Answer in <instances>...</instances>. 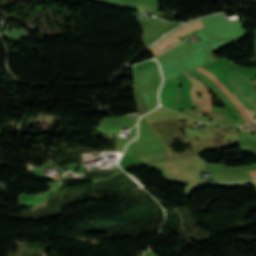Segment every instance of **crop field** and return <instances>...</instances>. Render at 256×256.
Instances as JSON below:
<instances>
[{
    "mask_svg": "<svg viewBox=\"0 0 256 256\" xmlns=\"http://www.w3.org/2000/svg\"><path fill=\"white\" fill-rule=\"evenodd\" d=\"M199 28H203V25L200 22V20L193 22L191 24H188L186 26L180 27L176 32L172 33L167 38H165L164 40H162L161 42H159L158 44H156L154 47L150 49L153 50L157 55L162 51L166 50L167 48H169L170 46L180 42L177 40L178 38L182 37L183 35H185L186 33L192 30H196Z\"/></svg>",
    "mask_w": 256,
    "mask_h": 256,
    "instance_id": "2",
    "label": "crop field"
},
{
    "mask_svg": "<svg viewBox=\"0 0 256 256\" xmlns=\"http://www.w3.org/2000/svg\"><path fill=\"white\" fill-rule=\"evenodd\" d=\"M198 71H200L201 73L205 74L207 77H209L212 82L218 87L220 88L224 93L230 91L219 79L217 76H215L212 72H210L207 68H205L204 66L196 69ZM226 95L228 96V98L233 102V104L239 109V111L244 115L245 118V122L249 123V122H253L252 117L255 115V112L252 111L251 109H249L248 107H246L244 104H242L234 90L226 93Z\"/></svg>",
    "mask_w": 256,
    "mask_h": 256,
    "instance_id": "1",
    "label": "crop field"
},
{
    "mask_svg": "<svg viewBox=\"0 0 256 256\" xmlns=\"http://www.w3.org/2000/svg\"><path fill=\"white\" fill-rule=\"evenodd\" d=\"M132 116H138V115H132ZM132 116H128V117H132ZM134 118V117H133Z\"/></svg>",
    "mask_w": 256,
    "mask_h": 256,
    "instance_id": "6",
    "label": "crop field"
},
{
    "mask_svg": "<svg viewBox=\"0 0 256 256\" xmlns=\"http://www.w3.org/2000/svg\"><path fill=\"white\" fill-rule=\"evenodd\" d=\"M254 184H256V182H254Z\"/></svg>",
    "mask_w": 256,
    "mask_h": 256,
    "instance_id": "7",
    "label": "crop field"
},
{
    "mask_svg": "<svg viewBox=\"0 0 256 256\" xmlns=\"http://www.w3.org/2000/svg\"><path fill=\"white\" fill-rule=\"evenodd\" d=\"M253 180H256V176H251Z\"/></svg>",
    "mask_w": 256,
    "mask_h": 256,
    "instance_id": "5",
    "label": "crop field"
},
{
    "mask_svg": "<svg viewBox=\"0 0 256 256\" xmlns=\"http://www.w3.org/2000/svg\"><path fill=\"white\" fill-rule=\"evenodd\" d=\"M229 80H230L232 86L234 87L238 98L240 100H242L244 104H246L247 106H249L253 110H256V102L252 98L242 95L240 89L234 84V82L230 78H229Z\"/></svg>",
    "mask_w": 256,
    "mask_h": 256,
    "instance_id": "4",
    "label": "crop field"
},
{
    "mask_svg": "<svg viewBox=\"0 0 256 256\" xmlns=\"http://www.w3.org/2000/svg\"><path fill=\"white\" fill-rule=\"evenodd\" d=\"M183 74L188 76L187 73H185V72H183ZM188 77H190V76H188ZM190 78H192L194 81H196L202 87V89L206 92V94L208 95V111H212V101H211L212 95H209V91L210 90L208 88H206L202 84V82H200L199 80H197V79H195L193 77H190ZM197 83L194 82V87H195L194 98H195L197 104H200V108L199 109H201L203 111H207V95L205 94V92L201 89V87ZM198 91L200 92V94L202 96L201 99H198L196 97V92H198Z\"/></svg>",
    "mask_w": 256,
    "mask_h": 256,
    "instance_id": "3",
    "label": "crop field"
}]
</instances>
